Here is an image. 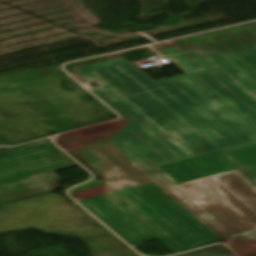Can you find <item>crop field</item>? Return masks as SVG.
Instances as JSON below:
<instances>
[{
  "mask_svg": "<svg viewBox=\"0 0 256 256\" xmlns=\"http://www.w3.org/2000/svg\"><path fill=\"white\" fill-rule=\"evenodd\" d=\"M242 168L163 188L222 240L256 229V187ZM242 245L234 249L242 256L256 255V231L234 236Z\"/></svg>",
  "mask_w": 256,
  "mask_h": 256,
  "instance_id": "crop-field-4",
  "label": "crop field"
},
{
  "mask_svg": "<svg viewBox=\"0 0 256 256\" xmlns=\"http://www.w3.org/2000/svg\"><path fill=\"white\" fill-rule=\"evenodd\" d=\"M70 153L105 183L73 194L78 201L149 182L162 188L240 167L256 179V144L160 167L119 134Z\"/></svg>",
  "mask_w": 256,
  "mask_h": 256,
  "instance_id": "crop-field-2",
  "label": "crop field"
},
{
  "mask_svg": "<svg viewBox=\"0 0 256 256\" xmlns=\"http://www.w3.org/2000/svg\"><path fill=\"white\" fill-rule=\"evenodd\" d=\"M219 54L256 84V44Z\"/></svg>",
  "mask_w": 256,
  "mask_h": 256,
  "instance_id": "crop-field-7",
  "label": "crop field"
},
{
  "mask_svg": "<svg viewBox=\"0 0 256 256\" xmlns=\"http://www.w3.org/2000/svg\"><path fill=\"white\" fill-rule=\"evenodd\" d=\"M159 52L187 75L153 82L127 61L79 75L130 122L122 137L157 166L256 142L255 84L219 54L194 59L205 71L177 47Z\"/></svg>",
  "mask_w": 256,
  "mask_h": 256,
  "instance_id": "crop-field-1",
  "label": "crop field"
},
{
  "mask_svg": "<svg viewBox=\"0 0 256 256\" xmlns=\"http://www.w3.org/2000/svg\"><path fill=\"white\" fill-rule=\"evenodd\" d=\"M100 184H103V182L90 181L88 183H85L83 185H80V186H77V187L71 189L69 191V193L73 194V193H76V192H79V191H83V190L89 189L91 187H94L96 185H100Z\"/></svg>",
  "mask_w": 256,
  "mask_h": 256,
  "instance_id": "crop-field-8",
  "label": "crop field"
},
{
  "mask_svg": "<svg viewBox=\"0 0 256 256\" xmlns=\"http://www.w3.org/2000/svg\"><path fill=\"white\" fill-rule=\"evenodd\" d=\"M187 50L214 49L217 52L256 43V21L175 40Z\"/></svg>",
  "mask_w": 256,
  "mask_h": 256,
  "instance_id": "crop-field-6",
  "label": "crop field"
},
{
  "mask_svg": "<svg viewBox=\"0 0 256 256\" xmlns=\"http://www.w3.org/2000/svg\"><path fill=\"white\" fill-rule=\"evenodd\" d=\"M74 165L46 140L0 151V203L54 190L52 171Z\"/></svg>",
  "mask_w": 256,
  "mask_h": 256,
  "instance_id": "crop-field-5",
  "label": "crop field"
},
{
  "mask_svg": "<svg viewBox=\"0 0 256 256\" xmlns=\"http://www.w3.org/2000/svg\"><path fill=\"white\" fill-rule=\"evenodd\" d=\"M80 203L131 244L158 239L175 253L220 240L154 184Z\"/></svg>",
  "mask_w": 256,
  "mask_h": 256,
  "instance_id": "crop-field-3",
  "label": "crop field"
}]
</instances>
